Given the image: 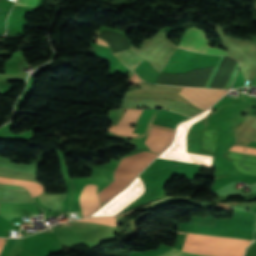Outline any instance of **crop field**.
<instances>
[{"mask_svg":"<svg viewBox=\"0 0 256 256\" xmlns=\"http://www.w3.org/2000/svg\"><path fill=\"white\" fill-rule=\"evenodd\" d=\"M96 188V185H86L82 191L80 198L82 217L90 215L100 207Z\"/></svg>","mask_w":256,"mask_h":256,"instance_id":"crop-field-6","label":"crop field"},{"mask_svg":"<svg viewBox=\"0 0 256 256\" xmlns=\"http://www.w3.org/2000/svg\"><path fill=\"white\" fill-rule=\"evenodd\" d=\"M178 47L207 54L229 55L227 52L218 48L209 47L206 41V35L196 28L187 30Z\"/></svg>","mask_w":256,"mask_h":256,"instance_id":"crop-field-5","label":"crop field"},{"mask_svg":"<svg viewBox=\"0 0 256 256\" xmlns=\"http://www.w3.org/2000/svg\"><path fill=\"white\" fill-rule=\"evenodd\" d=\"M37 0H18L16 5L35 7Z\"/></svg>","mask_w":256,"mask_h":256,"instance_id":"crop-field-11","label":"crop field"},{"mask_svg":"<svg viewBox=\"0 0 256 256\" xmlns=\"http://www.w3.org/2000/svg\"><path fill=\"white\" fill-rule=\"evenodd\" d=\"M97 43L98 44H101V45H104V46H107L106 42L100 40V39H97ZM108 47V46H107Z\"/></svg>","mask_w":256,"mask_h":256,"instance_id":"crop-field-14","label":"crop field"},{"mask_svg":"<svg viewBox=\"0 0 256 256\" xmlns=\"http://www.w3.org/2000/svg\"><path fill=\"white\" fill-rule=\"evenodd\" d=\"M143 192H144V184L142 183L141 179L138 176L135 179V181L126 190L119 193L102 209H100L98 212H96L94 215L90 217L117 214L121 212L124 208H126L132 201H134Z\"/></svg>","mask_w":256,"mask_h":256,"instance_id":"crop-field-3","label":"crop field"},{"mask_svg":"<svg viewBox=\"0 0 256 256\" xmlns=\"http://www.w3.org/2000/svg\"><path fill=\"white\" fill-rule=\"evenodd\" d=\"M5 241H6V239L0 238V250H1L2 246L4 245Z\"/></svg>","mask_w":256,"mask_h":256,"instance_id":"crop-field-13","label":"crop field"},{"mask_svg":"<svg viewBox=\"0 0 256 256\" xmlns=\"http://www.w3.org/2000/svg\"><path fill=\"white\" fill-rule=\"evenodd\" d=\"M128 81H129V80H128ZM139 82H140V79L136 76L135 73H133V75H132V77H131L129 83H132V84H136V85H137Z\"/></svg>","mask_w":256,"mask_h":256,"instance_id":"crop-field-12","label":"crop field"},{"mask_svg":"<svg viewBox=\"0 0 256 256\" xmlns=\"http://www.w3.org/2000/svg\"><path fill=\"white\" fill-rule=\"evenodd\" d=\"M160 256H211V255L185 252V251H180V250L172 248L171 250H169L168 252H166Z\"/></svg>","mask_w":256,"mask_h":256,"instance_id":"crop-field-9","label":"crop field"},{"mask_svg":"<svg viewBox=\"0 0 256 256\" xmlns=\"http://www.w3.org/2000/svg\"><path fill=\"white\" fill-rule=\"evenodd\" d=\"M178 233H180V232H178ZM182 234H185V233H182Z\"/></svg>","mask_w":256,"mask_h":256,"instance_id":"crop-field-16","label":"crop field"},{"mask_svg":"<svg viewBox=\"0 0 256 256\" xmlns=\"http://www.w3.org/2000/svg\"><path fill=\"white\" fill-rule=\"evenodd\" d=\"M211 109L183 122L177 127L173 143L159 156L174 160L188 161L203 165H212L213 156L186 152V135L192 124L204 118Z\"/></svg>","mask_w":256,"mask_h":256,"instance_id":"crop-field-1","label":"crop field"},{"mask_svg":"<svg viewBox=\"0 0 256 256\" xmlns=\"http://www.w3.org/2000/svg\"><path fill=\"white\" fill-rule=\"evenodd\" d=\"M34 210L33 205L1 203L0 215L8 221H20V211Z\"/></svg>","mask_w":256,"mask_h":256,"instance_id":"crop-field-7","label":"crop field"},{"mask_svg":"<svg viewBox=\"0 0 256 256\" xmlns=\"http://www.w3.org/2000/svg\"><path fill=\"white\" fill-rule=\"evenodd\" d=\"M142 110L127 109L124 117L118 125L130 126L136 124ZM133 128L123 126H112L109 131L115 132L117 135L123 136H138V134H131ZM173 132L152 127L145 144L151 151L161 153L165 147L171 142Z\"/></svg>","mask_w":256,"mask_h":256,"instance_id":"crop-field-2","label":"crop field"},{"mask_svg":"<svg viewBox=\"0 0 256 256\" xmlns=\"http://www.w3.org/2000/svg\"><path fill=\"white\" fill-rule=\"evenodd\" d=\"M81 221H91V222L102 223L108 226H116L115 217L89 218V219L87 218Z\"/></svg>","mask_w":256,"mask_h":256,"instance_id":"crop-field-10","label":"crop field"},{"mask_svg":"<svg viewBox=\"0 0 256 256\" xmlns=\"http://www.w3.org/2000/svg\"><path fill=\"white\" fill-rule=\"evenodd\" d=\"M126 66L131 69H135L144 59L135 55L134 53L127 51L115 54Z\"/></svg>","mask_w":256,"mask_h":256,"instance_id":"crop-field-8","label":"crop field"},{"mask_svg":"<svg viewBox=\"0 0 256 256\" xmlns=\"http://www.w3.org/2000/svg\"><path fill=\"white\" fill-rule=\"evenodd\" d=\"M251 126L256 128V121L251 124Z\"/></svg>","mask_w":256,"mask_h":256,"instance_id":"crop-field-15","label":"crop field"},{"mask_svg":"<svg viewBox=\"0 0 256 256\" xmlns=\"http://www.w3.org/2000/svg\"><path fill=\"white\" fill-rule=\"evenodd\" d=\"M228 90L216 89H200L184 87L180 93L184 98L192 104L202 108L203 110L212 106L221 96L227 93Z\"/></svg>","mask_w":256,"mask_h":256,"instance_id":"crop-field-4","label":"crop field"}]
</instances>
